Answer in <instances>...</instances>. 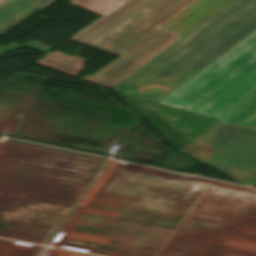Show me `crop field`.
I'll return each mask as SVG.
<instances>
[{"mask_svg":"<svg viewBox=\"0 0 256 256\" xmlns=\"http://www.w3.org/2000/svg\"><path fill=\"white\" fill-rule=\"evenodd\" d=\"M256 31V0H233L111 89L159 102Z\"/></svg>","mask_w":256,"mask_h":256,"instance_id":"obj_1","label":"crop field"},{"mask_svg":"<svg viewBox=\"0 0 256 256\" xmlns=\"http://www.w3.org/2000/svg\"><path fill=\"white\" fill-rule=\"evenodd\" d=\"M196 0H128L71 39L124 54L88 79L108 88L181 36L158 29Z\"/></svg>","mask_w":256,"mask_h":256,"instance_id":"obj_2","label":"crop field"},{"mask_svg":"<svg viewBox=\"0 0 256 256\" xmlns=\"http://www.w3.org/2000/svg\"><path fill=\"white\" fill-rule=\"evenodd\" d=\"M158 104L256 128V32Z\"/></svg>","mask_w":256,"mask_h":256,"instance_id":"obj_3","label":"crop field"},{"mask_svg":"<svg viewBox=\"0 0 256 256\" xmlns=\"http://www.w3.org/2000/svg\"><path fill=\"white\" fill-rule=\"evenodd\" d=\"M186 153L241 184L256 170V129L217 124Z\"/></svg>","mask_w":256,"mask_h":256,"instance_id":"obj_4","label":"crop field"},{"mask_svg":"<svg viewBox=\"0 0 256 256\" xmlns=\"http://www.w3.org/2000/svg\"><path fill=\"white\" fill-rule=\"evenodd\" d=\"M231 0H197L160 29L185 35Z\"/></svg>","mask_w":256,"mask_h":256,"instance_id":"obj_5","label":"crop field"},{"mask_svg":"<svg viewBox=\"0 0 256 256\" xmlns=\"http://www.w3.org/2000/svg\"><path fill=\"white\" fill-rule=\"evenodd\" d=\"M57 0H6L0 4V34L6 33Z\"/></svg>","mask_w":256,"mask_h":256,"instance_id":"obj_6","label":"crop field"},{"mask_svg":"<svg viewBox=\"0 0 256 256\" xmlns=\"http://www.w3.org/2000/svg\"><path fill=\"white\" fill-rule=\"evenodd\" d=\"M125 1L126 0H71V3L103 16Z\"/></svg>","mask_w":256,"mask_h":256,"instance_id":"obj_7","label":"crop field"},{"mask_svg":"<svg viewBox=\"0 0 256 256\" xmlns=\"http://www.w3.org/2000/svg\"><path fill=\"white\" fill-rule=\"evenodd\" d=\"M244 183H256V172H254Z\"/></svg>","mask_w":256,"mask_h":256,"instance_id":"obj_8","label":"crop field"},{"mask_svg":"<svg viewBox=\"0 0 256 256\" xmlns=\"http://www.w3.org/2000/svg\"><path fill=\"white\" fill-rule=\"evenodd\" d=\"M1 1V0H0Z\"/></svg>","mask_w":256,"mask_h":256,"instance_id":"obj_9","label":"crop field"}]
</instances>
